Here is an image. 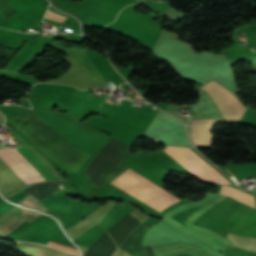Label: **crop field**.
<instances>
[{
	"label": "crop field",
	"mask_w": 256,
	"mask_h": 256,
	"mask_svg": "<svg viewBox=\"0 0 256 256\" xmlns=\"http://www.w3.org/2000/svg\"><path fill=\"white\" fill-rule=\"evenodd\" d=\"M163 151L187 169L191 174L200 179L220 183H230L189 149L167 146Z\"/></svg>",
	"instance_id": "1"
},
{
	"label": "crop field",
	"mask_w": 256,
	"mask_h": 256,
	"mask_svg": "<svg viewBox=\"0 0 256 256\" xmlns=\"http://www.w3.org/2000/svg\"><path fill=\"white\" fill-rule=\"evenodd\" d=\"M202 88L209 94L223 119L239 121L246 108L234 95L214 80Z\"/></svg>",
	"instance_id": "2"
},
{
	"label": "crop field",
	"mask_w": 256,
	"mask_h": 256,
	"mask_svg": "<svg viewBox=\"0 0 256 256\" xmlns=\"http://www.w3.org/2000/svg\"><path fill=\"white\" fill-rule=\"evenodd\" d=\"M0 157L28 185L45 179L15 148L0 149Z\"/></svg>",
	"instance_id": "3"
},
{
	"label": "crop field",
	"mask_w": 256,
	"mask_h": 256,
	"mask_svg": "<svg viewBox=\"0 0 256 256\" xmlns=\"http://www.w3.org/2000/svg\"><path fill=\"white\" fill-rule=\"evenodd\" d=\"M217 122H228L220 119H192L190 135L197 147H212V129ZM233 123V122H228Z\"/></svg>",
	"instance_id": "4"
},
{
	"label": "crop field",
	"mask_w": 256,
	"mask_h": 256,
	"mask_svg": "<svg viewBox=\"0 0 256 256\" xmlns=\"http://www.w3.org/2000/svg\"><path fill=\"white\" fill-rule=\"evenodd\" d=\"M41 214L15 206L0 218V236L3 238L25 220L35 221Z\"/></svg>",
	"instance_id": "5"
},
{
	"label": "crop field",
	"mask_w": 256,
	"mask_h": 256,
	"mask_svg": "<svg viewBox=\"0 0 256 256\" xmlns=\"http://www.w3.org/2000/svg\"><path fill=\"white\" fill-rule=\"evenodd\" d=\"M220 194L229 195V196L236 198L237 200L255 208L253 196L244 191L223 185Z\"/></svg>",
	"instance_id": "6"
},
{
	"label": "crop field",
	"mask_w": 256,
	"mask_h": 256,
	"mask_svg": "<svg viewBox=\"0 0 256 256\" xmlns=\"http://www.w3.org/2000/svg\"><path fill=\"white\" fill-rule=\"evenodd\" d=\"M228 238L242 249L256 252V238L229 234Z\"/></svg>",
	"instance_id": "7"
},
{
	"label": "crop field",
	"mask_w": 256,
	"mask_h": 256,
	"mask_svg": "<svg viewBox=\"0 0 256 256\" xmlns=\"http://www.w3.org/2000/svg\"><path fill=\"white\" fill-rule=\"evenodd\" d=\"M20 204L26 206V207H30V208H34V209H38L41 211H47L48 209H46L44 206H42L32 195H28L27 197H25L22 201H20Z\"/></svg>",
	"instance_id": "8"
},
{
	"label": "crop field",
	"mask_w": 256,
	"mask_h": 256,
	"mask_svg": "<svg viewBox=\"0 0 256 256\" xmlns=\"http://www.w3.org/2000/svg\"><path fill=\"white\" fill-rule=\"evenodd\" d=\"M48 246L55 247V248H58V249H61V250L67 251V252H71V253L80 255L79 251L76 249H73L71 247H66V246L51 242V241H49Z\"/></svg>",
	"instance_id": "9"
},
{
	"label": "crop field",
	"mask_w": 256,
	"mask_h": 256,
	"mask_svg": "<svg viewBox=\"0 0 256 256\" xmlns=\"http://www.w3.org/2000/svg\"><path fill=\"white\" fill-rule=\"evenodd\" d=\"M45 17L53 19V20H56V21H60V22H62L65 19V17H63L61 15H58L56 13H53V12H51L49 10L47 11V14H46Z\"/></svg>",
	"instance_id": "10"
},
{
	"label": "crop field",
	"mask_w": 256,
	"mask_h": 256,
	"mask_svg": "<svg viewBox=\"0 0 256 256\" xmlns=\"http://www.w3.org/2000/svg\"><path fill=\"white\" fill-rule=\"evenodd\" d=\"M114 256H131V255L118 249L117 252L114 254Z\"/></svg>",
	"instance_id": "11"
},
{
	"label": "crop field",
	"mask_w": 256,
	"mask_h": 256,
	"mask_svg": "<svg viewBox=\"0 0 256 256\" xmlns=\"http://www.w3.org/2000/svg\"><path fill=\"white\" fill-rule=\"evenodd\" d=\"M223 168H224V167H223ZM224 169H225L226 171H228V170H229L228 168H227L228 170H227L226 168H224ZM228 172H229V171H228ZM229 173L232 175V173H231V172H229ZM233 174H234V173H233ZM233 177L238 181V179H239V178H238L235 174L233 175Z\"/></svg>",
	"instance_id": "12"
},
{
	"label": "crop field",
	"mask_w": 256,
	"mask_h": 256,
	"mask_svg": "<svg viewBox=\"0 0 256 256\" xmlns=\"http://www.w3.org/2000/svg\"><path fill=\"white\" fill-rule=\"evenodd\" d=\"M106 102H109L108 98L106 99ZM110 103V102H109ZM112 104V103H111Z\"/></svg>",
	"instance_id": "13"
},
{
	"label": "crop field",
	"mask_w": 256,
	"mask_h": 256,
	"mask_svg": "<svg viewBox=\"0 0 256 256\" xmlns=\"http://www.w3.org/2000/svg\"><path fill=\"white\" fill-rule=\"evenodd\" d=\"M37 256H44V255L39 254V255H37Z\"/></svg>",
	"instance_id": "14"
},
{
	"label": "crop field",
	"mask_w": 256,
	"mask_h": 256,
	"mask_svg": "<svg viewBox=\"0 0 256 256\" xmlns=\"http://www.w3.org/2000/svg\"><path fill=\"white\" fill-rule=\"evenodd\" d=\"M252 50V49H251ZM254 51V50H253ZM255 52V51H254Z\"/></svg>",
	"instance_id": "15"
}]
</instances>
